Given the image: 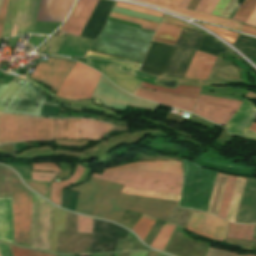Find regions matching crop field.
<instances>
[{"mask_svg":"<svg viewBox=\"0 0 256 256\" xmlns=\"http://www.w3.org/2000/svg\"><path fill=\"white\" fill-rule=\"evenodd\" d=\"M13 172V171H12ZM10 171L15 243L27 247L29 191ZM9 169L0 165V198L11 197ZM53 205L32 193L28 247L49 251Z\"/></svg>","mask_w":256,"mask_h":256,"instance_id":"crop-field-1","label":"crop field"},{"mask_svg":"<svg viewBox=\"0 0 256 256\" xmlns=\"http://www.w3.org/2000/svg\"><path fill=\"white\" fill-rule=\"evenodd\" d=\"M154 32L107 21L91 50L141 62Z\"/></svg>","mask_w":256,"mask_h":256,"instance_id":"crop-field-2","label":"crop field"},{"mask_svg":"<svg viewBox=\"0 0 256 256\" xmlns=\"http://www.w3.org/2000/svg\"><path fill=\"white\" fill-rule=\"evenodd\" d=\"M54 140L53 119L0 113V144Z\"/></svg>","mask_w":256,"mask_h":256,"instance_id":"crop-field-3","label":"crop field"},{"mask_svg":"<svg viewBox=\"0 0 256 256\" xmlns=\"http://www.w3.org/2000/svg\"><path fill=\"white\" fill-rule=\"evenodd\" d=\"M184 169L185 177L179 206L206 212L217 172L208 171L187 160H184Z\"/></svg>","mask_w":256,"mask_h":256,"instance_id":"crop-field-4","label":"crop field"},{"mask_svg":"<svg viewBox=\"0 0 256 256\" xmlns=\"http://www.w3.org/2000/svg\"><path fill=\"white\" fill-rule=\"evenodd\" d=\"M100 75V73L76 62L56 95L70 100L90 98Z\"/></svg>","mask_w":256,"mask_h":256,"instance_id":"crop-field-5","label":"crop field"},{"mask_svg":"<svg viewBox=\"0 0 256 256\" xmlns=\"http://www.w3.org/2000/svg\"><path fill=\"white\" fill-rule=\"evenodd\" d=\"M203 33L183 29L162 76L183 78Z\"/></svg>","mask_w":256,"mask_h":256,"instance_id":"crop-field-6","label":"crop field"},{"mask_svg":"<svg viewBox=\"0 0 256 256\" xmlns=\"http://www.w3.org/2000/svg\"><path fill=\"white\" fill-rule=\"evenodd\" d=\"M41 105L59 106L47 101L31 82L24 80L3 112L39 116Z\"/></svg>","mask_w":256,"mask_h":256,"instance_id":"crop-field-7","label":"crop field"},{"mask_svg":"<svg viewBox=\"0 0 256 256\" xmlns=\"http://www.w3.org/2000/svg\"><path fill=\"white\" fill-rule=\"evenodd\" d=\"M92 236L77 233V215L66 211L65 232L59 231L56 253H89Z\"/></svg>","mask_w":256,"mask_h":256,"instance_id":"crop-field-8","label":"crop field"},{"mask_svg":"<svg viewBox=\"0 0 256 256\" xmlns=\"http://www.w3.org/2000/svg\"><path fill=\"white\" fill-rule=\"evenodd\" d=\"M241 102L201 95L193 113L219 124H226Z\"/></svg>","mask_w":256,"mask_h":256,"instance_id":"crop-field-9","label":"crop field"},{"mask_svg":"<svg viewBox=\"0 0 256 256\" xmlns=\"http://www.w3.org/2000/svg\"><path fill=\"white\" fill-rule=\"evenodd\" d=\"M177 204L175 201L122 194L118 206L166 221Z\"/></svg>","mask_w":256,"mask_h":256,"instance_id":"crop-field-10","label":"crop field"},{"mask_svg":"<svg viewBox=\"0 0 256 256\" xmlns=\"http://www.w3.org/2000/svg\"><path fill=\"white\" fill-rule=\"evenodd\" d=\"M74 64L75 61L68 58L50 56L48 63L38 64L30 78L51 86L52 90L57 92Z\"/></svg>","mask_w":256,"mask_h":256,"instance_id":"crop-field-11","label":"crop field"},{"mask_svg":"<svg viewBox=\"0 0 256 256\" xmlns=\"http://www.w3.org/2000/svg\"><path fill=\"white\" fill-rule=\"evenodd\" d=\"M228 223L210 214L193 210L186 229L215 240L223 241Z\"/></svg>","mask_w":256,"mask_h":256,"instance_id":"crop-field-12","label":"crop field"},{"mask_svg":"<svg viewBox=\"0 0 256 256\" xmlns=\"http://www.w3.org/2000/svg\"><path fill=\"white\" fill-rule=\"evenodd\" d=\"M209 244L194 240L184 232L175 230L165 252L175 256H205Z\"/></svg>","mask_w":256,"mask_h":256,"instance_id":"crop-field-13","label":"crop field"},{"mask_svg":"<svg viewBox=\"0 0 256 256\" xmlns=\"http://www.w3.org/2000/svg\"><path fill=\"white\" fill-rule=\"evenodd\" d=\"M255 118L256 107L251 102L244 99L238 112L229 120L225 128L235 135L244 137ZM245 138L256 140V132L248 130Z\"/></svg>","mask_w":256,"mask_h":256,"instance_id":"crop-field-14","label":"crop field"},{"mask_svg":"<svg viewBox=\"0 0 256 256\" xmlns=\"http://www.w3.org/2000/svg\"><path fill=\"white\" fill-rule=\"evenodd\" d=\"M97 1L98 0H78L66 23L60 30L80 36Z\"/></svg>","mask_w":256,"mask_h":256,"instance_id":"crop-field-15","label":"crop field"},{"mask_svg":"<svg viewBox=\"0 0 256 256\" xmlns=\"http://www.w3.org/2000/svg\"><path fill=\"white\" fill-rule=\"evenodd\" d=\"M74 0H41L36 21L62 22Z\"/></svg>","mask_w":256,"mask_h":256,"instance_id":"crop-field-16","label":"crop field"},{"mask_svg":"<svg viewBox=\"0 0 256 256\" xmlns=\"http://www.w3.org/2000/svg\"><path fill=\"white\" fill-rule=\"evenodd\" d=\"M135 96L192 112L196 99L169 95L138 87Z\"/></svg>","mask_w":256,"mask_h":256,"instance_id":"crop-field-17","label":"crop field"},{"mask_svg":"<svg viewBox=\"0 0 256 256\" xmlns=\"http://www.w3.org/2000/svg\"><path fill=\"white\" fill-rule=\"evenodd\" d=\"M139 1H143L146 3L161 6L168 10H171V11H174V12L192 17V18L213 22V23L223 25V26L240 31V23H238V22H234L231 20L218 18V17H214V16H209V15H205V14H200V13L184 10V9L177 7V5L179 4V2L181 0H139Z\"/></svg>","mask_w":256,"mask_h":256,"instance_id":"crop-field-18","label":"crop field"},{"mask_svg":"<svg viewBox=\"0 0 256 256\" xmlns=\"http://www.w3.org/2000/svg\"><path fill=\"white\" fill-rule=\"evenodd\" d=\"M94 177L118 182L125 184L124 187L176 193L179 194L181 184L161 182V181H150V180H135V179H120V178H111L103 175L94 174Z\"/></svg>","mask_w":256,"mask_h":256,"instance_id":"crop-field-19","label":"crop field"},{"mask_svg":"<svg viewBox=\"0 0 256 256\" xmlns=\"http://www.w3.org/2000/svg\"><path fill=\"white\" fill-rule=\"evenodd\" d=\"M151 170L182 174L181 161H143L107 169L106 171Z\"/></svg>","mask_w":256,"mask_h":256,"instance_id":"crop-field-20","label":"crop field"},{"mask_svg":"<svg viewBox=\"0 0 256 256\" xmlns=\"http://www.w3.org/2000/svg\"><path fill=\"white\" fill-rule=\"evenodd\" d=\"M122 187H123L122 184L105 181V180L92 177L89 182H86L70 190L119 198Z\"/></svg>","mask_w":256,"mask_h":256,"instance_id":"crop-field-21","label":"crop field"},{"mask_svg":"<svg viewBox=\"0 0 256 256\" xmlns=\"http://www.w3.org/2000/svg\"><path fill=\"white\" fill-rule=\"evenodd\" d=\"M215 59L216 56L196 51L184 78L207 80Z\"/></svg>","mask_w":256,"mask_h":256,"instance_id":"crop-field-22","label":"crop field"},{"mask_svg":"<svg viewBox=\"0 0 256 256\" xmlns=\"http://www.w3.org/2000/svg\"><path fill=\"white\" fill-rule=\"evenodd\" d=\"M103 175L120 178L150 179L181 183L182 175L151 172V171H126V172H103Z\"/></svg>","mask_w":256,"mask_h":256,"instance_id":"crop-field-23","label":"crop field"},{"mask_svg":"<svg viewBox=\"0 0 256 256\" xmlns=\"http://www.w3.org/2000/svg\"><path fill=\"white\" fill-rule=\"evenodd\" d=\"M119 199L104 196L96 198L95 210L93 216L106 218L117 222L125 209L117 207Z\"/></svg>","mask_w":256,"mask_h":256,"instance_id":"crop-field-24","label":"crop field"},{"mask_svg":"<svg viewBox=\"0 0 256 256\" xmlns=\"http://www.w3.org/2000/svg\"><path fill=\"white\" fill-rule=\"evenodd\" d=\"M0 240L14 243L11 198L0 199Z\"/></svg>","mask_w":256,"mask_h":256,"instance_id":"crop-field-25","label":"crop field"},{"mask_svg":"<svg viewBox=\"0 0 256 256\" xmlns=\"http://www.w3.org/2000/svg\"><path fill=\"white\" fill-rule=\"evenodd\" d=\"M217 176L218 177H216V182L214 184L208 211L206 210L207 212L213 213L215 215H218V211H219V207H220V203H221V199H222V195L224 192V188H225V184H226L228 175L218 172Z\"/></svg>","mask_w":256,"mask_h":256,"instance_id":"crop-field-26","label":"crop field"},{"mask_svg":"<svg viewBox=\"0 0 256 256\" xmlns=\"http://www.w3.org/2000/svg\"><path fill=\"white\" fill-rule=\"evenodd\" d=\"M183 28L160 23L153 40L175 45Z\"/></svg>","mask_w":256,"mask_h":256,"instance_id":"crop-field-27","label":"crop field"},{"mask_svg":"<svg viewBox=\"0 0 256 256\" xmlns=\"http://www.w3.org/2000/svg\"><path fill=\"white\" fill-rule=\"evenodd\" d=\"M85 168L78 165L75 174L62 182H51V201L60 205L61 204V188L72 184L80 179Z\"/></svg>","mask_w":256,"mask_h":256,"instance_id":"crop-field-28","label":"crop field"},{"mask_svg":"<svg viewBox=\"0 0 256 256\" xmlns=\"http://www.w3.org/2000/svg\"><path fill=\"white\" fill-rule=\"evenodd\" d=\"M246 179L247 178H241V177L237 178L234 193L232 196V200H231L229 211H228L227 218H226L227 220H230L232 222L235 221V217H236L239 203H240V200L242 197Z\"/></svg>","mask_w":256,"mask_h":256,"instance_id":"crop-field-29","label":"crop field"},{"mask_svg":"<svg viewBox=\"0 0 256 256\" xmlns=\"http://www.w3.org/2000/svg\"><path fill=\"white\" fill-rule=\"evenodd\" d=\"M140 86L149 88V89H153V90H157V91H161V92L183 95V96L194 97V98H198V95H199V92L201 89V88H197V87L178 86L176 90H173V89H167V88L150 85V84L143 83V82H141Z\"/></svg>","mask_w":256,"mask_h":256,"instance_id":"crop-field-30","label":"crop field"},{"mask_svg":"<svg viewBox=\"0 0 256 256\" xmlns=\"http://www.w3.org/2000/svg\"><path fill=\"white\" fill-rule=\"evenodd\" d=\"M65 211L54 207L50 252L55 253L58 230L64 231Z\"/></svg>","mask_w":256,"mask_h":256,"instance_id":"crop-field-31","label":"crop field"},{"mask_svg":"<svg viewBox=\"0 0 256 256\" xmlns=\"http://www.w3.org/2000/svg\"><path fill=\"white\" fill-rule=\"evenodd\" d=\"M87 64L99 69L100 71H104L105 68L110 65L115 68H118L122 71L128 72L132 75L135 74L138 66H132L124 63H119V62H113V61H103V60H95V59H88Z\"/></svg>","mask_w":256,"mask_h":256,"instance_id":"crop-field-32","label":"crop field"},{"mask_svg":"<svg viewBox=\"0 0 256 256\" xmlns=\"http://www.w3.org/2000/svg\"><path fill=\"white\" fill-rule=\"evenodd\" d=\"M254 226L255 225H240L230 222L227 236L251 240Z\"/></svg>","mask_w":256,"mask_h":256,"instance_id":"crop-field-33","label":"crop field"},{"mask_svg":"<svg viewBox=\"0 0 256 256\" xmlns=\"http://www.w3.org/2000/svg\"><path fill=\"white\" fill-rule=\"evenodd\" d=\"M95 198L96 195L80 193L75 211L92 216Z\"/></svg>","mask_w":256,"mask_h":256,"instance_id":"crop-field-34","label":"crop field"},{"mask_svg":"<svg viewBox=\"0 0 256 256\" xmlns=\"http://www.w3.org/2000/svg\"><path fill=\"white\" fill-rule=\"evenodd\" d=\"M236 178L237 177H233V176L229 175L228 180H227L224 196L222 199V203H221V207H220V211H219V215H218L219 217H221L223 219L226 218V214L228 211V207H229V203H230L231 196L233 193Z\"/></svg>","mask_w":256,"mask_h":256,"instance_id":"crop-field-35","label":"crop field"},{"mask_svg":"<svg viewBox=\"0 0 256 256\" xmlns=\"http://www.w3.org/2000/svg\"><path fill=\"white\" fill-rule=\"evenodd\" d=\"M192 210L189 209H181L174 207L171 215L167 219V222L178 225L180 227L185 228L187 221L191 215Z\"/></svg>","mask_w":256,"mask_h":256,"instance_id":"crop-field-36","label":"crop field"},{"mask_svg":"<svg viewBox=\"0 0 256 256\" xmlns=\"http://www.w3.org/2000/svg\"><path fill=\"white\" fill-rule=\"evenodd\" d=\"M175 226L170 224H165L153 243L151 244L152 247H155L161 251H163L167 241L169 240Z\"/></svg>","mask_w":256,"mask_h":256,"instance_id":"crop-field-37","label":"crop field"},{"mask_svg":"<svg viewBox=\"0 0 256 256\" xmlns=\"http://www.w3.org/2000/svg\"><path fill=\"white\" fill-rule=\"evenodd\" d=\"M256 8V0H245L239 7L233 19L246 23Z\"/></svg>","mask_w":256,"mask_h":256,"instance_id":"crop-field-38","label":"crop field"},{"mask_svg":"<svg viewBox=\"0 0 256 256\" xmlns=\"http://www.w3.org/2000/svg\"><path fill=\"white\" fill-rule=\"evenodd\" d=\"M122 193L139 195V196H147V197H156V198H164L170 200L178 201L179 195L175 194H167V193H159V192H151V191H143V190H135V189H127L123 188Z\"/></svg>","mask_w":256,"mask_h":256,"instance_id":"crop-field-39","label":"crop field"},{"mask_svg":"<svg viewBox=\"0 0 256 256\" xmlns=\"http://www.w3.org/2000/svg\"><path fill=\"white\" fill-rule=\"evenodd\" d=\"M156 221L155 218L148 217L146 215L143 216V218L139 221V223L134 227L133 231L141 238H145L147 233L149 232L150 228Z\"/></svg>","mask_w":256,"mask_h":256,"instance_id":"crop-field-40","label":"crop field"},{"mask_svg":"<svg viewBox=\"0 0 256 256\" xmlns=\"http://www.w3.org/2000/svg\"><path fill=\"white\" fill-rule=\"evenodd\" d=\"M19 86L20 84L11 81L7 86L2 85L0 87V112H2L4 104H7V101Z\"/></svg>","mask_w":256,"mask_h":256,"instance_id":"crop-field-41","label":"crop field"},{"mask_svg":"<svg viewBox=\"0 0 256 256\" xmlns=\"http://www.w3.org/2000/svg\"><path fill=\"white\" fill-rule=\"evenodd\" d=\"M112 125L102 121L91 120L92 140L102 139L103 135L110 130Z\"/></svg>","mask_w":256,"mask_h":256,"instance_id":"crop-field-42","label":"crop field"},{"mask_svg":"<svg viewBox=\"0 0 256 256\" xmlns=\"http://www.w3.org/2000/svg\"><path fill=\"white\" fill-rule=\"evenodd\" d=\"M197 23H199V22H197ZM199 24H201L204 27L210 29L211 31L215 32L216 34L222 36L228 42H230L232 45H233L235 39L238 36V33H235V32H231V31H228V30H225V29H222V28H218V27L207 25V24H203V23H199Z\"/></svg>","mask_w":256,"mask_h":256,"instance_id":"crop-field-43","label":"crop field"},{"mask_svg":"<svg viewBox=\"0 0 256 256\" xmlns=\"http://www.w3.org/2000/svg\"><path fill=\"white\" fill-rule=\"evenodd\" d=\"M24 180L30 188L48 198L49 182L27 179Z\"/></svg>","mask_w":256,"mask_h":256,"instance_id":"crop-field-44","label":"crop field"},{"mask_svg":"<svg viewBox=\"0 0 256 256\" xmlns=\"http://www.w3.org/2000/svg\"><path fill=\"white\" fill-rule=\"evenodd\" d=\"M55 138L68 139L67 119H54Z\"/></svg>","mask_w":256,"mask_h":256,"instance_id":"crop-field-45","label":"crop field"},{"mask_svg":"<svg viewBox=\"0 0 256 256\" xmlns=\"http://www.w3.org/2000/svg\"><path fill=\"white\" fill-rule=\"evenodd\" d=\"M111 16L116 17V18H120V19H124V20H128V21H132V22H135V23H139V24H141L142 28L153 30V31H155L157 26H158L157 23L144 21V20H140V19H136V18H132V17H127V16H123V15H118V14H114V13H112Z\"/></svg>","mask_w":256,"mask_h":256,"instance_id":"crop-field-46","label":"crop field"},{"mask_svg":"<svg viewBox=\"0 0 256 256\" xmlns=\"http://www.w3.org/2000/svg\"><path fill=\"white\" fill-rule=\"evenodd\" d=\"M10 249L13 256H55L53 254L34 252L28 249L18 248L14 246H10Z\"/></svg>","mask_w":256,"mask_h":256,"instance_id":"crop-field-47","label":"crop field"},{"mask_svg":"<svg viewBox=\"0 0 256 256\" xmlns=\"http://www.w3.org/2000/svg\"><path fill=\"white\" fill-rule=\"evenodd\" d=\"M69 139H80L79 119H68Z\"/></svg>","mask_w":256,"mask_h":256,"instance_id":"crop-field-48","label":"crop field"},{"mask_svg":"<svg viewBox=\"0 0 256 256\" xmlns=\"http://www.w3.org/2000/svg\"><path fill=\"white\" fill-rule=\"evenodd\" d=\"M78 232L92 233V219L78 215Z\"/></svg>","mask_w":256,"mask_h":256,"instance_id":"crop-field-49","label":"crop field"},{"mask_svg":"<svg viewBox=\"0 0 256 256\" xmlns=\"http://www.w3.org/2000/svg\"><path fill=\"white\" fill-rule=\"evenodd\" d=\"M163 223H164V221L157 219V221L155 222V224L153 225V227L151 228L150 232L148 233V235L146 236V238L144 239L143 242H145L146 244H148L150 246L151 242L155 238L159 229L162 227Z\"/></svg>","mask_w":256,"mask_h":256,"instance_id":"crop-field-50","label":"crop field"},{"mask_svg":"<svg viewBox=\"0 0 256 256\" xmlns=\"http://www.w3.org/2000/svg\"><path fill=\"white\" fill-rule=\"evenodd\" d=\"M87 141L90 140H60L55 139L57 145L73 146V147H83L86 146Z\"/></svg>","mask_w":256,"mask_h":256,"instance_id":"crop-field-51","label":"crop field"},{"mask_svg":"<svg viewBox=\"0 0 256 256\" xmlns=\"http://www.w3.org/2000/svg\"><path fill=\"white\" fill-rule=\"evenodd\" d=\"M207 256H255L252 254H248V255H240V254H236V253H232V252H228V251H223V250H219V249H215V248H209Z\"/></svg>","mask_w":256,"mask_h":256,"instance_id":"crop-field-52","label":"crop field"},{"mask_svg":"<svg viewBox=\"0 0 256 256\" xmlns=\"http://www.w3.org/2000/svg\"><path fill=\"white\" fill-rule=\"evenodd\" d=\"M33 170H42V171H52V172H61L59 168L53 163L45 164H31Z\"/></svg>","mask_w":256,"mask_h":256,"instance_id":"crop-field-53","label":"crop field"},{"mask_svg":"<svg viewBox=\"0 0 256 256\" xmlns=\"http://www.w3.org/2000/svg\"><path fill=\"white\" fill-rule=\"evenodd\" d=\"M81 139L91 138L90 120L80 119Z\"/></svg>","mask_w":256,"mask_h":256,"instance_id":"crop-field-54","label":"crop field"},{"mask_svg":"<svg viewBox=\"0 0 256 256\" xmlns=\"http://www.w3.org/2000/svg\"><path fill=\"white\" fill-rule=\"evenodd\" d=\"M116 5L121 6V7L130 8V9H132L134 11H138V12L149 13V14L160 16V17L162 16L161 13L153 11V10H149V9H146V8L136 7V6L120 3V2H117Z\"/></svg>","mask_w":256,"mask_h":256,"instance_id":"crop-field-55","label":"crop field"},{"mask_svg":"<svg viewBox=\"0 0 256 256\" xmlns=\"http://www.w3.org/2000/svg\"><path fill=\"white\" fill-rule=\"evenodd\" d=\"M162 22H166V23H170V24H174V25H178V26H182V27H186V28L196 29V28L186 24V22L178 20V19H175V18L170 17L168 15H164V17L162 19Z\"/></svg>","mask_w":256,"mask_h":256,"instance_id":"crop-field-56","label":"crop field"},{"mask_svg":"<svg viewBox=\"0 0 256 256\" xmlns=\"http://www.w3.org/2000/svg\"><path fill=\"white\" fill-rule=\"evenodd\" d=\"M56 173L31 172L32 179L51 181Z\"/></svg>","mask_w":256,"mask_h":256,"instance_id":"crop-field-57","label":"crop field"},{"mask_svg":"<svg viewBox=\"0 0 256 256\" xmlns=\"http://www.w3.org/2000/svg\"><path fill=\"white\" fill-rule=\"evenodd\" d=\"M8 0H0V37L3 28L4 18L6 14Z\"/></svg>","mask_w":256,"mask_h":256,"instance_id":"crop-field-58","label":"crop field"},{"mask_svg":"<svg viewBox=\"0 0 256 256\" xmlns=\"http://www.w3.org/2000/svg\"><path fill=\"white\" fill-rule=\"evenodd\" d=\"M85 57L113 59V60H119V61H128V60H124V59H120V58H116V57H112V56H108V55H103V54H99V53H95V52H91V51H88L87 54L85 55ZM128 62H131V61H128ZM132 63H135V62H132ZM135 64H139V63H135Z\"/></svg>","mask_w":256,"mask_h":256,"instance_id":"crop-field-59","label":"crop field"},{"mask_svg":"<svg viewBox=\"0 0 256 256\" xmlns=\"http://www.w3.org/2000/svg\"><path fill=\"white\" fill-rule=\"evenodd\" d=\"M238 0H230V2L227 4V6L224 8L222 13L220 14L221 17L228 18L234 7L236 6Z\"/></svg>","mask_w":256,"mask_h":256,"instance_id":"crop-field-60","label":"crop field"},{"mask_svg":"<svg viewBox=\"0 0 256 256\" xmlns=\"http://www.w3.org/2000/svg\"><path fill=\"white\" fill-rule=\"evenodd\" d=\"M229 2V0H220L214 10L211 12L212 15L219 16L225 5Z\"/></svg>","mask_w":256,"mask_h":256,"instance_id":"crop-field-61","label":"crop field"},{"mask_svg":"<svg viewBox=\"0 0 256 256\" xmlns=\"http://www.w3.org/2000/svg\"><path fill=\"white\" fill-rule=\"evenodd\" d=\"M0 255L1 256H11L10 249L8 245L0 244Z\"/></svg>","mask_w":256,"mask_h":256,"instance_id":"crop-field-62","label":"crop field"},{"mask_svg":"<svg viewBox=\"0 0 256 256\" xmlns=\"http://www.w3.org/2000/svg\"><path fill=\"white\" fill-rule=\"evenodd\" d=\"M241 31L256 36V28L242 25Z\"/></svg>","mask_w":256,"mask_h":256,"instance_id":"crop-field-63","label":"crop field"},{"mask_svg":"<svg viewBox=\"0 0 256 256\" xmlns=\"http://www.w3.org/2000/svg\"><path fill=\"white\" fill-rule=\"evenodd\" d=\"M219 0H211L209 2V4L207 5L206 9L204 10V13H208L210 14V12L212 11V9L215 7V5L217 4Z\"/></svg>","mask_w":256,"mask_h":256,"instance_id":"crop-field-64","label":"crop field"},{"mask_svg":"<svg viewBox=\"0 0 256 256\" xmlns=\"http://www.w3.org/2000/svg\"><path fill=\"white\" fill-rule=\"evenodd\" d=\"M210 0H201V2L198 4V6L195 8L196 11L203 12L206 5L208 4Z\"/></svg>","mask_w":256,"mask_h":256,"instance_id":"crop-field-65","label":"crop field"},{"mask_svg":"<svg viewBox=\"0 0 256 256\" xmlns=\"http://www.w3.org/2000/svg\"><path fill=\"white\" fill-rule=\"evenodd\" d=\"M247 24H251L256 26V10L254 11V13L252 14V16L249 18V20L247 21Z\"/></svg>","mask_w":256,"mask_h":256,"instance_id":"crop-field-66","label":"crop field"},{"mask_svg":"<svg viewBox=\"0 0 256 256\" xmlns=\"http://www.w3.org/2000/svg\"><path fill=\"white\" fill-rule=\"evenodd\" d=\"M147 252H143V251H134L131 252L129 256H146Z\"/></svg>","mask_w":256,"mask_h":256,"instance_id":"crop-field-67","label":"crop field"},{"mask_svg":"<svg viewBox=\"0 0 256 256\" xmlns=\"http://www.w3.org/2000/svg\"><path fill=\"white\" fill-rule=\"evenodd\" d=\"M200 0H192L191 3L188 6V9H192L194 10V8L196 7V5L198 4Z\"/></svg>","mask_w":256,"mask_h":256,"instance_id":"crop-field-68","label":"crop field"},{"mask_svg":"<svg viewBox=\"0 0 256 256\" xmlns=\"http://www.w3.org/2000/svg\"><path fill=\"white\" fill-rule=\"evenodd\" d=\"M189 2H190V0H182V2L179 4V7L186 9Z\"/></svg>","mask_w":256,"mask_h":256,"instance_id":"crop-field-69","label":"crop field"},{"mask_svg":"<svg viewBox=\"0 0 256 256\" xmlns=\"http://www.w3.org/2000/svg\"><path fill=\"white\" fill-rule=\"evenodd\" d=\"M131 245L130 243H124V247H123V250L122 251H126V250H130L131 249Z\"/></svg>","mask_w":256,"mask_h":256,"instance_id":"crop-field-70","label":"crop field"},{"mask_svg":"<svg viewBox=\"0 0 256 256\" xmlns=\"http://www.w3.org/2000/svg\"><path fill=\"white\" fill-rule=\"evenodd\" d=\"M250 130L256 131V123L253 122L252 126L250 127Z\"/></svg>","mask_w":256,"mask_h":256,"instance_id":"crop-field-71","label":"crop field"},{"mask_svg":"<svg viewBox=\"0 0 256 256\" xmlns=\"http://www.w3.org/2000/svg\"><path fill=\"white\" fill-rule=\"evenodd\" d=\"M74 59H76V60H79V61H82V62H86V60H87V58H74Z\"/></svg>","mask_w":256,"mask_h":256,"instance_id":"crop-field-72","label":"crop field"},{"mask_svg":"<svg viewBox=\"0 0 256 256\" xmlns=\"http://www.w3.org/2000/svg\"><path fill=\"white\" fill-rule=\"evenodd\" d=\"M130 252L121 253L120 256H128Z\"/></svg>","mask_w":256,"mask_h":256,"instance_id":"crop-field-73","label":"crop field"},{"mask_svg":"<svg viewBox=\"0 0 256 256\" xmlns=\"http://www.w3.org/2000/svg\"><path fill=\"white\" fill-rule=\"evenodd\" d=\"M158 256H168V255H165V254L159 252Z\"/></svg>","mask_w":256,"mask_h":256,"instance_id":"crop-field-74","label":"crop field"},{"mask_svg":"<svg viewBox=\"0 0 256 256\" xmlns=\"http://www.w3.org/2000/svg\"><path fill=\"white\" fill-rule=\"evenodd\" d=\"M253 238H256V227H255Z\"/></svg>","mask_w":256,"mask_h":256,"instance_id":"crop-field-75","label":"crop field"}]
</instances>
